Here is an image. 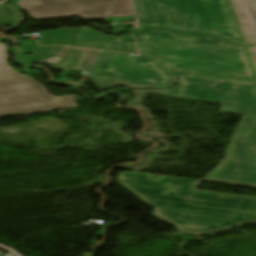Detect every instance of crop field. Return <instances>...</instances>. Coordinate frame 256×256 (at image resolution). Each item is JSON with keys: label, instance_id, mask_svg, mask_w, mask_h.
Instances as JSON below:
<instances>
[{"label": "crop field", "instance_id": "obj_9", "mask_svg": "<svg viewBox=\"0 0 256 256\" xmlns=\"http://www.w3.org/2000/svg\"><path fill=\"white\" fill-rule=\"evenodd\" d=\"M248 44L256 43V0H231Z\"/></svg>", "mask_w": 256, "mask_h": 256}, {"label": "crop field", "instance_id": "obj_3", "mask_svg": "<svg viewBox=\"0 0 256 256\" xmlns=\"http://www.w3.org/2000/svg\"><path fill=\"white\" fill-rule=\"evenodd\" d=\"M137 47L168 70L256 81L245 47L214 37L147 31L139 35Z\"/></svg>", "mask_w": 256, "mask_h": 256}, {"label": "crop field", "instance_id": "obj_11", "mask_svg": "<svg viewBox=\"0 0 256 256\" xmlns=\"http://www.w3.org/2000/svg\"><path fill=\"white\" fill-rule=\"evenodd\" d=\"M250 49H251V51L253 53V56H254V59H255V63H256V45L250 46Z\"/></svg>", "mask_w": 256, "mask_h": 256}, {"label": "crop field", "instance_id": "obj_10", "mask_svg": "<svg viewBox=\"0 0 256 256\" xmlns=\"http://www.w3.org/2000/svg\"><path fill=\"white\" fill-rule=\"evenodd\" d=\"M6 56H5V45L0 43V71L13 70L12 67L5 65Z\"/></svg>", "mask_w": 256, "mask_h": 256}, {"label": "crop field", "instance_id": "obj_6", "mask_svg": "<svg viewBox=\"0 0 256 256\" xmlns=\"http://www.w3.org/2000/svg\"><path fill=\"white\" fill-rule=\"evenodd\" d=\"M34 19L78 16L83 20L134 15L131 0H21Z\"/></svg>", "mask_w": 256, "mask_h": 256}, {"label": "crop field", "instance_id": "obj_4", "mask_svg": "<svg viewBox=\"0 0 256 256\" xmlns=\"http://www.w3.org/2000/svg\"><path fill=\"white\" fill-rule=\"evenodd\" d=\"M140 26L210 33L244 44L227 0H134Z\"/></svg>", "mask_w": 256, "mask_h": 256}, {"label": "crop field", "instance_id": "obj_7", "mask_svg": "<svg viewBox=\"0 0 256 256\" xmlns=\"http://www.w3.org/2000/svg\"><path fill=\"white\" fill-rule=\"evenodd\" d=\"M111 73L136 84H168L171 75L149 57H134L123 53L101 52L91 74Z\"/></svg>", "mask_w": 256, "mask_h": 256}, {"label": "crop field", "instance_id": "obj_8", "mask_svg": "<svg viewBox=\"0 0 256 256\" xmlns=\"http://www.w3.org/2000/svg\"><path fill=\"white\" fill-rule=\"evenodd\" d=\"M82 47L105 49L119 52H132L135 50L129 35L117 37L104 35L90 27H80Z\"/></svg>", "mask_w": 256, "mask_h": 256}, {"label": "crop field", "instance_id": "obj_1", "mask_svg": "<svg viewBox=\"0 0 256 256\" xmlns=\"http://www.w3.org/2000/svg\"><path fill=\"white\" fill-rule=\"evenodd\" d=\"M124 172L118 184L152 205L154 217L174 225L179 232L204 235L256 222V198L194 190L199 181Z\"/></svg>", "mask_w": 256, "mask_h": 256}, {"label": "crop field", "instance_id": "obj_12", "mask_svg": "<svg viewBox=\"0 0 256 256\" xmlns=\"http://www.w3.org/2000/svg\"><path fill=\"white\" fill-rule=\"evenodd\" d=\"M223 102H224V99L222 98L219 102H217V103H219V104H223Z\"/></svg>", "mask_w": 256, "mask_h": 256}, {"label": "crop field", "instance_id": "obj_5", "mask_svg": "<svg viewBox=\"0 0 256 256\" xmlns=\"http://www.w3.org/2000/svg\"><path fill=\"white\" fill-rule=\"evenodd\" d=\"M74 107L73 95L52 98L35 80L15 71L0 72V116Z\"/></svg>", "mask_w": 256, "mask_h": 256}, {"label": "crop field", "instance_id": "obj_2", "mask_svg": "<svg viewBox=\"0 0 256 256\" xmlns=\"http://www.w3.org/2000/svg\"><path fill=\"white\" fill-rule=\"evenodd\" d=\"M177 88L171 96L216 103L220 111L244 115L228 148L226 158L204 179L206 181L256 187V85L194 74L172 72Z\"/></svg>", "mask_w": 256, "mask_h": 256}]
</instances>
